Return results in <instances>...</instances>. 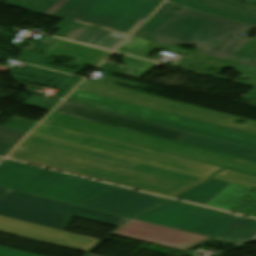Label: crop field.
<instances>
[{
    "label": "crop field",
    "mask_w": 256,
    "mask_h": 256,
    "mask_svg": "<svg viewBox=\"0 0 256 256\" xmlns=\"http://www.w3.org/2000/svg\"><path fill=\"white\" fill-rule=\"evenodd\" d=\"M44 123L122 141L154 151L256 174V163L53 112Z\"/></svg>",
    "instance_id": "5"
},
{
    "label": "crop field",
    "mask_w": 256,
    "mask_h": 256,
    "mask_svg": "<svg viewBox=\"0 0 256 256\" xmlns=\"http://www.w3.org/2000/svg\"><path fill=\"white\" fill-rule=\"evenodd\" d=\"M134 219L233 243L256 238V220L169 200Z\"/></svg>",
    "instance_id": "3"
},
{
    "label": "crop field",
    "mask_w": 256,
    "mask_h": 256,
    "mask_svg": "<svg viewBox=\"0 0 256 256\" xmlns=\"http://www.w3.org/2000/svg\"><path fill=\"white\" fill-rule=\"evenodd\" d=\"M71 131L72 130L42 123L33 133L206 177L211 176L221 169V167L199 163L162 153H158L159 155L157 156L150 155L148 154L151 151L150 149L92 135L87 137H78L69 134ZM219 173L231 178L229 181L230 183L256 189V176L226 168L221 170Z\"/></svg>",
    "instance_id": "6"
},
{
    "label": "crop field",
    "mask_w": 256,
    "mask_h": 256,
    "mask_svg": "<svg viewBox=\"0 0 256 256\" xmlns=\"http://www.w3.org/2000/svg\"><path fill=\"white\" fill-rule=\"evenodd\" d=\"M55 112L178 142L187 132L158 126L64 101Z\"/></svg>",
    "instance_id": "11"
},
{
    "label": "crop field",
    "mask_w": 256,
    "mask_h": 256,
    "mask_svg": "<svg viewBox=\"0 0 256 256\" xmlns=\"http://www.w3.org/2000/svg\"><path fill=\"white\" fill-rule=\"evenodd\" d=\"M110 52L58 40L51 48H49L44 55L46 56H72L76 57L75 63L85 64L95 67L102 59H104Z\"/></svg>",
    "instance_id": "19"
},
{
    "label": "crop field",
    "mask_w": 256,
    "mask_h": 256,
    "mask_svg": "<svg viewBox=\"0 0 256 256\" xmlns=\"http://www.w3.org/2000/svg\"><path fill=\"white\" fill-rule=\"evenodd\" d=\"M239 1L256 5V0H254V1H250V0H239Z\"/></svg>",
    "instance_id": "28"
},
{
    "label": "crop field",
    "mask_w": 256,
    "mask_h": 256,
    "mask_svg": "<svg viewBox=\"0 0 256 256\" xmlns=\"http://www.w3.org/2000/svg\"><path fill=\"white\" fill-rule=\"evenodd\" d=\"M161 1H163V0H161Z\"/></svg>",
    "instance_id": "30"
},
{
    "label": "crop field",
    "mask_w": 256,
    "mask_h": 256,
    "mask_svg": "<svg viewBox=\"0 0 256 256\" xmlns=\"http://www.w3.org/2000/svg\"><path fill=\"white\" fill-rule=\"evenodd\" d=\"M77 90L229 127L235 130L256 135V122L242 119L246 121V123L244 125H239L236 123L239 118L191 107L127 89L86 80Z\"/></svg>",
    "instance_id": "9"
},
{
    "label": "crop field",
    "mask_w": 256,
    "mask_h": 256,
    "mask_svg": "<svg viewBox=\"0 0 256 256\" xmlns=\"http://www.w3.org/2000/svg\"><path fill=\"white\" fill-rule=\"evenodd\" d=\"M253 27L184 8L150 39L174 46L196 45V51L212 57L256 67V41L240 37Z\"/></svg>",
    "instance_id": "2"
},
{
    "label": "crop field",
    "mask_w": 256,
    "mask_h": 256,
    "mask_svg": "<svg viewBox=\"0 0 256 256\" xmlns=\"http://www.w3.org/2000/svg\"><path fill=\"white\" fill-rule=\"evenodd\" d=\"M148 43L149 41L131 37L117 50V52L135 56Z\"/></svg>",
    "instance_id": "25"
},
{
    "label": "crop field",
    "mask_w": 256,
    "mask_h": 256,
    "mask_svg": "<svg viewBox=\"0 0 256 256\" xmlns=\"http://www.w3.org/2000/svg\"><path fill=\"white\" fill-rule=\"evenodd\" d=\"M0 187L81 206L115 186L4 159Z\"/></svg>",
    "instance_id": "4"
},
{
    "label": "crop field",
    "mask_w": 256,
    "mask_h": 256,
    "mask_svg": "<svg viewBox=\"0 0 256 256\" xmlns=\"http://www.w3.org/2000/svg\"><path fill=\"white\" fill-rule=\"evenodd\" d=\"M66 22L68 23L55 34L56 36L110 50H113L127 37V35L65 19L60 21L54 28L59 29Z\"/></svg>",
    "instance_id": "15"
},
{
    "label": "crop field",
    "mask_w": 256,
    "mask_h": 256,
    "mask_svg": "<svg viewBox=\"0 0 256 256\" xmlns=\"http://www.w3.org/2000/svg\"><path fill=\"white\" fill-rule=\"evenodd\" d=\"M161 3L157 0H95L75 18L78 22L129 35Z\"/></svg>",
    "instance_id": "10"
},
{
    "label": "crop field",
    "mask_w": 256,
    "mask_h": 256,
    "mask_svg": "<svg viewBox=\"0 0 256 256\" xmlns=\"http://www.w3.org/2000/svg\"><path fill=\"white\" fill-rule=\"evenodd\" d=\"M180 143L232 155L256 162V149L189 133Z\"/></svg>",
    "instance_id": "20"
},
{
    "label": "crop field",
    "mask_w": 256,
    "mask_h": 256,
    "mask_svg": "<svg viewBox=\"0 0 256 256\" xmlns=\"http://www.w3.org/2000/svg\"><path fill=\"white\" fill-rule=\"evenodd\" d=\"M0 232L87 252L100 240L0 216Z\"/></svg>",
    "instance_id": "12"
},
{
    "label": "crop field",
    "mask_w": 256,
    "mask_h": 256,
    "mask_svg": "<svg viewBox=\"0 0 256 256\" xmlns=\"http://www.w3.org/2000/svg\"><path fill=\"white\" fill-rule=\"evenodd\" d=\"M0 215L65 230L72 215L118 226L128 218L9 190Z\"/></svg>",
    "instance_id": "8"
},
{
    "label": "crop field",
    "mask_w": 256,
    "mask_h": 256,
    "mask_svg": "<svg viewBox=\"0 0 256 256\" xmlns=\"http://www.w3.org/2000/svg\"><path fill=\"white\" fill-rule=\"evenodd\" d=\"M113 234L182 250H186L210 238L134 219L129 220Z\"/></svg>",
    "instance_id": "13"
},
{
    "label": "crop field",
    "mask_w": 256,
    "mask_h": 256,
    "mask_svg": "<svg viewBox=\"0 0 256 256\" xmlns=\"http://www.w3.org/2000/svg\"><path fill=\"white\" fill-rule=\"evenodd\" d=\"M206 206L256 218V190L231 184Z\"/></svg>",
    "instance_id": "17"
},
{
    "label": "crop field",
    "mask_w": 256,
    "mask_h": 256,
    "mask_svg": "<svg viewBox=\"0 0 256 256\" xmlns=\"http://www.w3.org/2000/svg\"><path fill=\"white\" fill-rule=\"evenodd\" d=\"M169 2L250 24L256 22V8L243 5L236 0H169Z\"/></svg>",
    "instance_id": "16"
},
{
    "label": "crop field",
    "mask_w": 256,
    "mask_h": 256,
    "mask_svg": "<svg viewBox=\"0 0 256 256\" xmlns=\"http://www.w3.org/2000/svg\"><path fill=\"white\" fill-rule=\"evenodd\" d=\"M36 125H37V123H33V122H29V121H26V120H22V119L12 117L3 126L8 127V128H13V129L29 132Z\"/></svg>",
    "instance_id": "26"
},
{
    "label": "crop field",
    "mask_w": 256,
    "mask_h": 256,
    "mask_svg": "<svg viewBox=\"0 0 256 256\" xmlns=\"http://www.w3.org/2000/svg\"><path fill=\"white\" fill-rule=\"evenodd\" d=\"M66 101L104 110L118 115L192 132L252 148H256V136L234 132L229 128L81 92L75 90ZM122 103L121 105H118Z\"/></svg>",
    "instance_id": "7"
},
{
    "label": "crop field",
    "mask_w": 256,
    "mask_h": 256,
    "mask_svg": "<svg viewBox=\"0 0 256 256\" xmlns=\"http://www.w3.org/2000/svg\"><path fill=\"white\" fill-rule=\"evenodd\" d=\"M27 133L0 127V156L4 157Z\"/></svg>",
    "instance_id": "23"
},
{
    "label": "crop field",
    "mask_w": 256,
    "mask_h": 256,
    "mask_svg": "<svg viewBox=\"0 0 256 256\" xmlns=\"http://www.w3.org/2000/svg\"><path fill=\"white\" fill-rule=\"evenodd\" d=\"M15 7L72 20L94 0H13Z\"/></svg>",
    "instance_id": "18"
},
{
    "label": "crop field",
    "mask_w": 256,
    "mask_h": 256,
    "mask_svg": "<svg viewBox=\"0 0 256 256\" xmlns=\"http://www.w3.org/2000/svg\"><path fill=\"white\" fill-rule=\"evenodd\" d=\"M31 134L9 156L92 179L171 197L206 177ZM42 137V136H41ZM136 166L128 165V163Z\"/></svg>",
    "instance_id": "1"
},
{
    "label": "crop field",
    "mask_w": 256,
    "mask_h": 256,
    "mask_svg": "<svg viewBox=\"0 0 256 256\" xmlns=\"http://www.w3.org/2000/svg\"><path fill=\"white\" fill-rule=\"evenodd\" d=\"M175 5L166 3L134 36L148 39L163 23H169L183 8L172 12Z\"/></svg>",
    "instance_id": "22"
},
{
    "label": "crop field",
    "mask_w": 256,
    "mask_h": 256,
    "mask_svg": "<svg viewBox=\"0 0 256 256\" xmlns=\"http://www.w3.org/2000/svg\"><path fill=\"white\" fill-rule=\"evenodd\" d=\"M125 63L127 66L138 68L134 73L130 75V77L137 78V79L145 76L149 71H151L155 67L153 62H149V61H145V60H141V59H137L129 56L125 57Z\"/></svg>",
    "instance_id": "24"
},
{
    "label": "crop field",
    "mask_w": 256,
    "mask_h": 256,
    "mask_svg": "<svg viewBox=\"0 0 256 256\" xmlns=\"http://www.w3.org/2000/svg\"><path fill=\"white\" fill-rule=\"evenodd\" d=\"M163 200L165 198L116 187L83 207L130 218Z\"/></svg>",
    "instance_id": "14"
},
{
    "label": "crop field",
    "mask_w": 256,
    "mask_h": 256,
    "mask_svg": "<svg viewBox=\"0 0 256 256\" xmlns=\"http://www.w3.org/2000/svg\"><path fill=\"white\" fill-rule=\"evenodd\" d=\"M0 256H41V255L0 246Z\"/></svg>",
    "instance_id": "27"
},
{
    "label": "crop field",
    "mask_w": 256,
    "mask_h": 256,
    "mask_svg": "<svg viewBox=\"0 0 256 256\" xmlns=\"http://www.w3.org/2000/svg\"><path fill=\"white\" fill-rule=\"evenodd\" d=\"M87 255H89V256H94V255H90V254H87Z\"/></svg>",
    "instance_id": "29"
},
{
    "label": "crop field",
    "mask_w": 256,
    "mask_h": 256,
    "mask_svg": "<svg viewBox=\"0 0 256 256\" xmlns=\"http://www.w3.org/2000/svg\"><path fill=\"white\" fill-rule=\"evenodd\" d=\"M228 185L230 183L210 179L192 189L190 188L191 190L175 197V199L205 205Z\"/></svg>",
    "instance_id": "21"
}]
</instances>
